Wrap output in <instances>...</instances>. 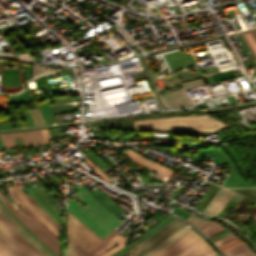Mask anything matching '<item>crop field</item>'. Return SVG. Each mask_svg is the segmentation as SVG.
Returning a JSON list of instances; mask_svg holds the SVG:
<instances>
[{"mask_svg": "<svg viewBox=\"0 0 256 256\" xmlns=\"http://www.w3.org/2000/svg\"><path fill=\"white\" fill-rule=\"evenodd\" d=\"M227 256H256L252 254L243 242L224 251Z\"/></svg>", "mask_w": 256, "mask_h": 256, "instance_id": "13", "label": "crop field"}, {"mask_svg": "<svg viewBox=\"0 0 256 256\" xmlns=\"http://www.w3.org/2000/svg\"><path fill=\"white\" fill-rule=\"evenodd\" d=\"M0 226L24 249H26L32 256H41L35 251L1 216Z\"/></svg>", "mask_w": 256, "mask_h": 256, "instance_id": "11", "label": "crop field"}, {"mask_svg": "<svg viewBox=\"0 0 256 256\" xmlns=\"http://www.w3.org/2000/svg\"><path fill=\"white\" fill-rule=\"evenodd\" d=\"M14 185L20 190V188L16 185L15 182H13ZM21 191V190H20ZM22 192V191H21ZM20 192V193H21ZM23 193V192H22ZM21 193V194H22ZM24 194V193H23ZM22 194V195H23ZM24 196L35 206V208L58 230L60 231V226L35 202V200L30 196H26L24 194ZM33 206V207H34Z\"/></svg>", "mask_w": 256, "mask_h": 256, "instance_id": "15", "label": "crop field"}, {"mask_svg": "<svg viewBox=\"0 0 256 256\" xmlns=\"http://www.w3.org/2000/svg\"><path fill=\"white\" fill-rule=\"evenodd\" d=\"M0 256H12L0 245Z\"/></svg>", "mask_w": 256, "mask_h": 256, "instance_id": "23", "label": "crop field"}, {"mask_svg": "<svg viewBox=\"0 0 256 256\" xmlns=\"http://www.w3.org/2000/svg\"><path fill=\"white\" fill-rule=\"evenodd\" d=\"M190 231H192L189 227L186 225L182 227L178 232H176L173 236L170 238L166 239L162 243H160L158 246L150 250L148 253H146L143 256H156L166 248H168L170 245L178 241L180 238L188 234Z\"/></svg>", "mask_w": 256, "mask_h": 256, "instance_id": "10", "label": "crop field"}, {"mask_svg": "<svg viewBox=\"0 0 256 256\" xmlns=\"http://www.w3.org/2000/svg\"><path fill=\"white\" fill-rule=\"evenodd\" d=\"M2 143L7 145L8 149L15 148L13 138L21 137L25 146L30 144H35L36 146H40L44 144L42 132L31 131V132H19V133H7L0 135Z\"/></svg>", "mask_w": 256, "mask_h": 256, "instance_id": "6", "label": "crop field"}, {"mask_svg": "<svg viewBox=\"0 0 256 256\" xmlns=\"http://www.w3.org/2000/svg\"><path fill=\"white\" fill-rule=\"evenodd\" d=\"M181 210H182V209H181ZM181 210L175 208V209H173L172 211H174V212H176V213H178V214L184 215V216L182 217V218H184V219H185L187 216L190 215V213H187V212H184V211H181Z\"/></svg>", "mask_w": 256, "mask_h": 256, "instance_id": "22", "label": "crop field"}, {"mask_svg": "<svg viewBox=\"0 0 256 256\" xmlns=\"http://www.w3.org/2000/svg\"><path fill=\"white\" fill-rule=\"evenodd\" d=\"M254 32V31H251ZM252 35L254 36V38L256 39V32L252 33Z\"/></svg>", "mask_w": 256, "mask_h": 256, "instance_id": "25", "label": "crop field"}, {"mask_svg": "<svg viewBox=\"0 0 256 256\" xmlns=\"http://www.w3.org/2000/svg\"><path fill=\"white\" fill-rule=\"evenodd\" d=\"M85 192H87L95 201H97L100 205L114 214L116 217L119 214L123 219H126L123 214L119 211L122 209L118 205H116L112 200H110L106 195H104L98 188L90 191L84 185L80 186Z\"/></svg>", "mask_w": 256, "mask_h": 256, "instance_id": "9", "label": "crop field"}, {"mask_svg": "<svg viewBox=\"0 0 256 256\" xmlns=\"http://www.w3.org/2000/svg\"><path fill=\"white\" fill-rule=\"evenodd\" d=\"M186 220H188L191 224H193L197 228L206 222L205 220H202L192 214Z\"/></svg>", "mask_w": 256, "mask_h": 256, "instance_id": "19", "label": "crop field"}, {"mask_svg": "<svg viewBox=\"0 0 256 256\" xmlns=\"http://www.w3.org/2000/svg\"><path fill=\"white\" fill-rule=\"evenodd\" d=\"M235 238H237V237H235L234 235L230 234V235H228V236H226V237H224V238H222V239H220V240H218V241H216L214 243L219 247V246H221V245H223V244H225V243H227V242H229V241H231V240H233Z\"/></svg>", "mask_w": 256, "mask_h": 256, "instance_id": "20", "label": "crop field"}, {"mask_svg": "<svg viewBox=\"0 0 256 256\" xmlns=\"http://www.w3.org/2000/svg\"><path fill=\"white\" fill-rule=\"evenodd\" d=\"M67 251H69L74 256H90L70 241H68Z\"/></svg>", "mask_w": 256, "mask_h": 256, "instance_id": "18", "label": "crop field"}, {"mask_svg": "<svg viewBox=\"0 0 256 256\" xmlns=\"http://www.w3.org/2000/svg\"><path fill=\"white\" fill-rule=\"evenodd\" d=\"M1 216L42 256H51L45 249H43L1 206Z\"/></svg>", "mask_w": 256, "mask_h": 256, "instance_id": "8", "label": "crop field"}, {"mask_svg": "<svg viewBox=\"0 0 256 256\" xmlns=\"http://www.w3.org/2000/svg\"><path fill=\"white\" fill-rule=\"evenodd\" d=\"M198 229L202 230L209 237L224 228L215 222L208 221Z\"/></svg>", "mask_w": 256, "mask_h": 256, "instance_id": "16", "label": "crop field"}, {"mask_svg": "<svg viewBox=\"0 0 256 256\" xmlns=\"http://www.w3.org/2000/svg\"><path fill=\"white\" fill-rule=\"evenodd\" d=\"M5 191L14 199V201L21 207V209L29 216L24 214L22 211L10 206L7 201L0 194V200L6 205V207L19 219V221L41 242H43L51 251L57 256L60 253L59 238L50 232L20 201V199L8 188Z\"/></svg>", "mask_w": 256, "mask_h": 256, "instance_id": "2", "label": "crop field"}, {"mask_svg": "<svg viewBox=\"0 0 256 256\" xmlns=\"http://www.w3.org/2000/svg\"><path fill=\"white\" fill-rule=\"evenodd\" d=\"M213 250L193 231L158 256H212Z\"/></svg>", "mask_w": 256, "mask_h": 256, "instance_id": "4", "label": "crop field"}, {"mask_svg": "<svg viewBox=\"0 0 256 256\" xmlns=\"http://www.w3.org/2000/svg\"><path fill=\"white\" fill-rule=\"evenodd\" d=\"M74 184L75 185L72 187L78 192L73 193L86 206L81 207L76 201L68 199L67 211L74 215L79 221L102 238L113 231V228L122 223L115 216L96 203L76 183Z\"/></svg>", "mask_w": 256, "mask_h": 256, "instance_id": "1", "label": "crop field"}, {"mask_svg": "<svg viewBox=\"0 0 256 256\" xmlns=\"http://www.w3.org/2000/svg\"><path fill=\"white\" fill-rule=\"evenodd\" d=\"M242 36H243L246 44L248 45L250 51L252 52L253 56L256 59V43H255L254 39L252 38L250 32L243 33Z\"/></svg>", "mask_w": 256, "mask_h": 256, "instance_id": "17", "label": "crop field"}, {"mask_svg": "<svg viewBox=\"0 0 256 256\" xmlns=\"http://www.w3.org/2000/svg\"><path fill=\"white\" fill-rule=\"evenodd\" d=\"M0 244L3 245L11 254H13L14 256H20L16 251H14L6 242H4L1 238H0Z\"/></svg>", "mask_w": 256, "mask_h": 256, "instance_id": "21", "label": "crop field"}, {"mask_svg": "<svg viewBox=\"0 0 256 256\" xmlns=\"http://www.w3.org/2000/svg\"><path fill=\"white\" fill-rule=\"evenodd\" d=\"M253 219L256 222V213L254 214Z\"/></svg>", "mask_w": 256, "mask_h": 256, "instance_id": "26", "label": "crop field"}, {"mask_svg": "<svg viewBox=\"0 0 256 256\" xmlns=\"http://www.w3.org/2000/svg\"><path fill=\"white\" fill-rule=\"evenodd\" d=\"M181 89L160 95L163 102L170 107H182L191 104L190 99L183 89L203 85L201 79L181 83Z\"/></svg>", "mask_w": 256, "mask_h": 256, "instance_id": "5", "label": "crop field"}, {"mask_svg": "<svg viewBox=\"0 0 256 256\" xmlns=\"http://www.w3.org/2000/svg\"><path fill=\"white\" fill-rule=\"evenodd\" d=\"M213 256H217V255L215 254V255H213Z\"/></svg>", "mask_w": 256, "mask_h": 256, "instance_id": "27", "label": "crop field"}, {"mask_svg": "<svg viewBox=\"0 0 256 256\" xmlns=\"http://www.w3.org/2000/svg\"><path fill=\"white\" fill-rule=\"evenodd\" d=\"M229 198L238 202L242 198V196L221 187L202 213L217 216V214L220 212V210Z\"/></svg>", "mask_w": 256, "mask_h": 256, "instance_id": "7", "label": "crop field"}, {"mask_svg": "<svg viewBox=\"0 0 256 256\" xmlns=\"http://www.w3.org/2000/svg\"><path fill=\"white\" fill-rule=\"evenodd\" d=\"M115 233L117 232L114 230L110 235L102 239L67 212L66 237L87 253Z\"/></svg>", "mask_w": 256, "mask_h": 256, "instance_id": "3", "label": "crop field"}, {"mask_svg": "<svg viewBox=\"0 0 256 256\" xmlns=\"http://www.w3.org/2000/svg\"><path fill=\"white\" fill-rule=\"evenodd\" d=\"M65 256H73V255H71L69 252L66 251V255Z\"/></svg>", "mask_w": 256, "mask_h": 256, "instance_id": "24", "label": "crop field"}, {"mask_svg": "<svg viewBox=\"0 0 256 256\" xmlns=\"http://www.w3.org/2000/svg\"><path fill=\"white\" fill-rule=\"evenodd\" d=\"M0 236L21 256H31L27 251L21 248L13 239H11L6 232L0 227Z\"/></svg>", "mask_w": 256, "mask_h": 256, "instance_id": "14", "label": "crop field"}, {"mask_svg": "<svg viewBox=\"0 0 256 256\" xmlns=\"http://www.w3.org/2000/svg\"><path fill=\"white\" fill-rule=\"evenodd\" d=\"M128 236V235H127ZM127 236L125 237H121L118 233L115 234L114 236H112L110 239H108L107 241H105L104 243H102L101 245H99L97 248H95L94 250H92L90 253L91 256H99L100 254H102L103 252H105L107 249H109L111 246H113L114 244L120 242L121 240L127 238Z\"/></svg>", "mask_w": 256, "mask_h": 256, "instance_id": "12", "label": "crop field"}]
</instances>
